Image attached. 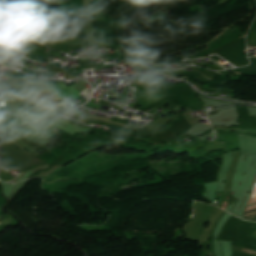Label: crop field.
Masks as SVG:
<instances>
[{"mask_svg":"<svg viewBox=\"0 0 256 256\" xmlns=\"http://www.w3.org/2000/svg\"><path fill=\"white\" fill-rule=\"evenodd\" d=\"M226 203L224 202L220 208L225 209Z\"/></svg>","mask_w":256,"mask_h":256,"instance_id":"crop-field-2","label":"crop field"},{"mask_svg":"<svg viewBox=\"0 0 256 256\" xmlns=\"http://www.w3.org/2000/svg\"><path fill=\"white\" fill-rule=\"evenodd\" d=\"M214 1L218 2V0H214Z\"/></svg>","mask_w":256,"mask_h":256,"instance_id":"crop-field-3","label":"crop field"},{"mask_svg":"<svg viewBox=\"0 0 256 256\" xmlns=\"http://www.w3.org/2000/svg\"><path fill=\"white\" fill-rule=\"evenodd\" d=\"M32 102L48 109L49 111L53 112L54 114L56 115H60V113H58L55 109L51 108L50 106L46 105L45 103L51 105L52 107L54 108H59L61 107L59 104L64 102L60 99H58L53 93L51 92H48V93H45V94H41V95H37V96H34V97H30L29 98ZM45 103H43V102Z\"/></svg>","mask_w":256,"mask_h":256,"instance_id":"crop-field-1","label":"crop field"},{"mask_svg":"<svg viewBox=\"0 0 256 256\" xmlns=\"http://www.w3.org/2000/svg\"><path fill=\"white\" fill-rule=\"evenodd\" d=\"M2 132H0V136H1Z\"/></svg>","mask_w":256,"mask_h":256,"instance_id":"crop-field-4","label":"crop field"}]
</instances>
